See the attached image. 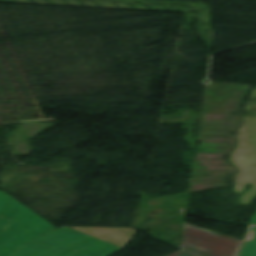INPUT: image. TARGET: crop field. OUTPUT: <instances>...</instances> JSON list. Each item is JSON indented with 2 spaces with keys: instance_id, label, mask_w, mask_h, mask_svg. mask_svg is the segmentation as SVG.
Wrapping results in <instances>:
<instances>
[{
  "instance_id": "2",
  "label": "crop field",
  "mask_w": 256,
  "mask_h": 256,
  "mask_svg": "<svg viewBox=\"0 0 256 256\" xmlns=\"http://www.w3.org/2000/svg\"><path fill=\"white\" fill-rule=\"evenodd\" d=\"M3 192L0 191V256H8L18 246L55 228Z\"/></svg>"
},
{
  "instance_id": "3",
  "label": "crop field",
  "mask_w": 256,
  "mask_h": 256,
  "mask_svg": "<svg viewBox=\"0 0 256 256\" xmlns=\"http://www.w3.org/2000/svg\"><path fill=\"white\" fill-rule=\"evenodd\" d=\"M240 241L185 223L182 251L170 256H237Z\"/></svg>"
},
{
  "instance_id": "5",
  "label": "crop field",
  "mask_w": 256,
  "mask_h": 256,
  "mask_svg": "<svg viewBox=\"0 0 256 256\" xmlns=\"http://www.w3.org/2000/svg\"><path fill=\"white\" fill-rule=\"evenodd\" d=\"M251 224H256V215L251 218Z\"/></svg>"
},
{
  "instance_id": "4",
  "label": "crop field",
  "mask_w": 256,
  "mask_h": 256,
  "mask_svg": "<svg viewBox=\"0 0 256 256\" xmlns=\"http://www.w3.org/2000/svg\"><path fill=\"white\" fill-rule=\"evenodd\" d=\"M240 256H256V227L250 229Z\"/></svg>"
},
{
  "instance_id": "1",
  "label": "crop field",
  "mask_w": 256,
  "mask_h": 256,
  "mask_svg": "<svg viewBox=\"0 0 256 256\" xmlns=\"http://www.w3.org/2000/svg\"><path fill=\"white\" fill-rule=\"evenodd\" d=\"M73 228L106 242L69 229ZM62 227L23 247L12 256H108L136 234L132 228Z\"/></svg>"
}]
</instances>
